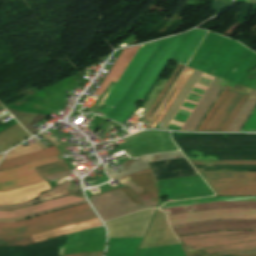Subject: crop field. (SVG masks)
Wrapping results in <instances>:
<instances>
[{
  "instance_id": "412701ff",
  "label": "crop field",
  "mask_w": 256,
  "mask_h": 256,
  "mask_svg": "<svg viewBox=\"0 0 256 256\" xmlns=\"http://www.w3.org/2000/svg\"><path fill=\"white\" fill-rule=\"evenodd\" d=\"M217 195H256V172H202Z\"/></svg>"
},
{
  "instance_id": "bc2a9ffb",
  "label": "crop field",
  "mask_w": 256,
  "mask_h": 256,
  "mask_svg": "<svg viewBox=\"0 0 256 256\" xmlns=\"http://www.w3.org/2000/svg\"><path fill=\"white\" fill-rule=\"evenodd\" d=\"M71 189L77 190V189H80V188H79V186L71 187V183L69 181V182L64 183L62 185L54 187L49 192L41 194L38 197V199H36V200L30 201V202L21 203V204L12 206V207H0V209H14V208L26 206V205H29V204H32V203H35V202H38V201H42V200H45V199H49V198H53V197H57V196H62V195H67L69 193L66 192V191L71 190Z\"/></svg>"
},
{
  "instance_id": "eef30255",
  "label": "crop field",
  "mask_w": 256,
  "mask_h": 256,
  "mask_svg": "<svg viewBox=\"0 0 256 256\" xmlns=\"http://www.w3.org/2000/svg\"><path fill=\"white\" fill-rule=\"evenodd\" d=\"M193 164H256V161H191Z\"/></svg>"
},
{
  "instance_id": "4a817a6b",
  "label": "crop field",
  "mask_w": 256,
  "mask_h": 256,
  "mask_svg": "<svg viewBox=\"0 0 256 256\" xmlns=\"http://www.w3.org/2000/svg\"><path fill=\"white\" fill-rule=\"evenodd\" d=\"M256 105V91L253 90L227 131H239L245 120L247 119L250 112Z\"/></svg>"
},
{
  "instance_id": "d8731c3e",
  "label": "crop field",
  "mask_w": 256,
  "mask_h": 256,
  "mask_svg": "<svg viewBox=\"0 0 256 256\" xmlns=\"http://www.w3.org/2000/svg\"><path fill=\"white\" fill-rule=\"evenodd\" d=\"M167 217L170 225L217 218H256V209H216Z\"/></svg>"
},
{
  "instance_id": "4177f3b9",
  "label": "crop field",
  "mask_w": 256,
  "mask_h": 256,
  "mask_svg": "<svg viewBox=\"0 0 256 256\" xmlns=\"http://www.w3.org/2000/svg\"><path fill=\"white\" fill-rule=\"evenodd\" d=\"M192 72H193V69L189 68V70L187 71V73L185 74V76L183 77V79L181 80L179 85L177 86L176 92L174 93V95L172 96V98L170 99V101L168 102V104L166 105V107L164 108V110L162 111V113L160 114V116L158 117V119L156 120L154 125L152 126V128H154V126L156 125L157 122H160V120L162 119V117L164 116V114L166 113V111L168 110V108L170 107V105L172 104V102L174 101L177 94L179 93V91L181 90V88L183 87V85L185 84V82L187 81V79L189 78V76L191 75Z\"/></svg>"
},
{
  "instance_id": "34b2d1b8",
  "label": "crop field",
  "mask_w": 256,
  "mask_h": 256,
  "mask_svg": "<svg viewBox=\"0 0 256 256\" xmlns=\"http://www.w3.org/2000/svg\"><path fill=\"white\" fill-rule=\"evenodd\" d=\"M217 234H256V232H217L190 236H181L178 239L217 235ZM186 256H256V252H214V251H256V235H217L209 237L179 240Z\"/></svg>"
},
{
  "instance_id": "bd1437ed",
  "label": "crop field",
  "mask_w": 256,
  "mask_h": 256,
  "mask_svg": "<svg viewBox=\"0 0 256 256\" xmlns=\"http://www.w3.org/2000/svg\"><path fill=\"white\" fill-rule=\"evenodd\" d=\"M102 251L98 252H88V253H78V254H68L64 256H101Z\"/></svg>"
},
{
  "instance_id": "ac0d7876",
  "label": "crop field",
  "mask_w": 256,
  "mask_h": 256,
  "mask_svg": "<svg viewBox=\"0 0 256 256\" xmlns=\"http://www.w3.org/2000/svg\"><path fill=\"white\" fill-rule=\"evenodd\" d=\"M128 177L132 179V181L138 187L143 196H140L141 193L130 178L124 181H120ZM118 180L123 186L130 188L137 196H140L137 197L128 188H121L135 205L149 200V193L156 191L154 182L155 180L149 168L124 177H120L118 178ZM121 189L101 194L99 198L90 201L103 219V221L136 210L155 206L157 204L158 198L156 192L150 194L151 200L135 206Z\"/></svg>"
},
{
  "instance_id": "dafd665d",
  "label": "crop field",
  "mask_w": 256,
  "mask_h": 256,
  "mask_svg": "<svg viewBox=\"0 0 256 256\" xmlns=\"http://www.w3.org/2000/svg\"><path fill=\"white\" fill-rule=\"evenodd\" d=\"M187 70H188V67L184 66V68L182 69V71L180 72V74L178 75V77L176 78V80L174 81V83L172 84L170 89L168 90L167 94L165 95V97L163 98V100L161 101V103L159 104V106L157 107V109L155 110V112L153 113L151 118L149 119L150 123L148 125V128L153 123V121L155 120V118L157 117V115L163 108L164 104L166 103V101L168 100V98L170 97V95L172 94V92L174 91V89L176 88V86L178 85V83L180 82V80L182 79V77L184 76V74L186 73Z\"/></svg>"
},
{
  "instance_id": "750c4746",
  "label": "crop field",
  "mask_w": 256,
  "mask_h": 256,
  "mask_svg": "<svg viewBox=\"0 0 256 256\" xmlns=\"http://www.w3.org/2000/svg\"><path fill=\"white\" fill-rule=\"evenodd\" d=\"M69 174H70V170L60 172V173H56V174H52V175H48V176H45V178L48 179L49 181H51V180H54V179H57V178L67 176Z\"/></svg>"
},
{
  "instance_id": "dd49c442",
  "label": "crop field",
  "mask_w": 256,
  "mask_h": 256,
  "mask_svg": "<svg viewBox=\"0 0 256 256\" xmlns=\"http://www.w3.org/2000/svg\"><path fill=\"white\" fill-rule=\"evenodd\" d=\"M176 236L217 230H256V219H217L171 226Z\"/></svg>"
},
{
  "instance_id": "8a807250",
  "label": "crop field",
  "mask_w": 256,
  "mask_h": 256,
  "mask_svg": "<svg viewBox=\"0 0 256 256\" xmlns=\"http://www.w3.org/2000/svg\"><path fill=\"white\" fill-rule=\"evenodd\" d=\"M207 31L193 29L185 34L157 41L136 75L114 106L105 115L123 123L136 109L134 104L144 100L170 58L186 64Z\"/></svg>"
},
{
  "instance_id": "ae1a2a85",
  "label": "crop field",
  "mask_w": 256,
  "mask_h": 256,
  "mask_svg": "<svg viewBox=\"0 0 256 256\" xmlns=\"http://www.w3.org/2000/svg\"><path fill=\"white\" fill-rule=\"evenodd\" d=\"M242 131H256V108L243 127Z\"/></svg>"
},
{
  "instance_id": "214f88e0",
  "label": "crop field",
  "mask_w": 256,
  "mask_h": 256,
  "mask_svg": "<svg viewBox=\"0 0 256 256\" xmlns=\"http://www.w3.org/2000/svg\"><path fill=\"white\" fill-rule=\"evenodd\" d=\"M213 201H256V197H213V198H206V199L169 203V204H165L161 208L180 206V205H188V204L205 203V202H213Z\"/></svg>"
},
{
  "instance_id": "e52e79f7",
  "label": "crop field",
  "mask_w": 256,
  "mask_h": 256,
  "mask_svg": "<svg viewBox=\"0 0 256 256\" xmlns=\"http://www.w3.org/2000/svg\"><path fill=\"white\" fill-rule=\"evenodd\" d=\"M91 218H95V215L89 209L19 228H0V238L22 237Z\"/></svg>"
},
{
  "instance_id": "d3111659",
  "label": "crop field",
  "mask_w": 256,
  "mask_h": 256,
  "mask_svg": "<svg viewBox=\"0 0 256 256\" xmlns=\"http://www.w3.org/2000/svg\"><path fill=\"white\" fill-rule=\"evenodd\" d=\"M85 201H86V200H84V201H80V202H76V203H72V204L65 205V206H61V207H57V208H54V209L46 210V211H43V212H39V213H35V214H31V215H28V216H24V217L16 218V219H0V222H15V220H17V219H21V218L29 217V216H32V215H36V214H40V213H44V212H47V211L55 210V209H58V208H62V207H66V206H70V205L77 204V203H81V202H85Z\"/></svg>"
},
{
  "instance_id": "22f410ed",
  "label": "crop field",
  "mask_w": 256,
  "mask_h": 256,
  "mask_svg": "<svg viewBox=\"0 0 256 256\" xmlns=\"http://www.w3.org/2000/svg\"><path fill=\"white\" fill-rule=\"evenodd\" d=\"M84 199L85 198H79L71 195V196L55 199L52 201L32 205L29 207H25V208L13 210V211H0V218H16V217L28 215L31 213L43 211L46 209L54 208L57 206L69 204V203L84 200Z\"/></svg>"
},
{
  "instance_id": "cbeb9de0",
  "label": "crop field",
  "mask_w": 256,
  "mask_h": 256,
  "mask_svg": "<svg viewBox=\"0 0 256 256\" xmlns=\"http://www.w3.org/2000/svg\"><path fill=\"white\" fill-rule=\"evenodd\" d=\"M216 208H256V202H213L162 209L166 215Z\"/></svg>"
},
{
  "instance_id": "5142ce71",
  "label": "crop field",
  "mask_w": 256,
  "mask_h": 256,
  "mask_svg": "<svg viewBox=\"0 0 256 256\" xmlns=\"http://www.w3.org/2000/svg\"><path fill=\"white\" fill-rule=\"evenodd\" d=\"M139 47L140 45L124 49V51L119 56L116 63L114 64V66L112 67L108 75L106 76L103 83L94 93L100 96L101 93L106 89V87L109 85L111 81L117 82V80L119 79V77L121 76V74L123 73V71L125 70L128 63L130 62V60L132 59V57L134 56V54L136 53Z\"/></svg>"
},
{
  "instance_id": "3316defc",
  "label": "crop field",
  "mask_w": 256,
  "mask_h": 256,
  "mask_svg": "<svg viewBox=\"0 0 256 256\" xmlns=\"http://www.w3.org/2000/svg\"><path fill=\"white\" fill-rule=\"evenodd\" d=\"M247 96L230 93L206 131H226Z\"/></svg>"
},
{
  "instance_id": "5866460e",
  "label": "crop field",
  "mask_w": 256,
  "mask_h": 256,
  "mask_svg": "<svg viewBox=\"0 0 256 256\" xmlns=\"http://www.w3.org/2000/svg\"><path fill=\"white\" fill-rule=\"evenodd\" d=\"M2 155H0V157H1Z\"/></svg>"
},
{
  "instance_id": "730fd06b",
  "label": "crop field",
  "mask_w": 256,
  "mask_h": 256,
  "mask_svg": "<svg viewBox=\"0 0 256 256\" xmlns=\"http://www.w3.org/2000/svg\"><path fill=\"white\" fill-rule=\"evenodd\" d=\"M181 67H182V65H178V67L174 71L173 75L171 76V78L169 79V81L167 82L165 87L163 88L162 92L160 93V95L158 96V98L156 99V101L154 102L152 107L150 108L149 112L145 116V118H144L145 120H147V118L149 117V115L151 114V112L153 111V109L155 108V106L157 105V103L159 102V100L161 99V97L163 96V94L167 90L168 86L170 85L171 81L173 80V78L175 77L176 73L180 70Z\"/></svg>"
},
{
  "instance_id": "d9b57169",
  "label": "crop field",
  "mask_w": 256,
  "mask_h": 256,
  "mask_svg": "<svg viewBox=\"0 0 256 256\" xmlns=\"http://www.w3.org/2000/svg\"><path fill=\"white\" fill-rule=\"evenodd\" d=\"M55 155H59V152H58L56 146L47 148V149L42 150V151L30 153V154H27V155L19 156V157L8 159V160H4L0 164V170L5 169V168H9V167H12V166H16V165H20V164H24V163H28V162H32V161H36V160H40V159H44V158L55 156Z\"/></svg>"
},
{
  "instance_id": "28ad6ade",
  "label": "crop field",
  "mask_w": 256,
  "mask_h": 256,
  "mask_svg": "<svg viewBox=\"0 0 256 256\" xmlns=\"http://www.w3.org/2000/svg\"><path fill=\"white\" fill-rule=\"evenodd\" d=\"M226 80L220 79L215 77L213 82L211 83L210 87L200 100L199 104L187 120L186 124L182 128V130L188 131H195L211 105L213 104L214 100L218 96L219 92L223 88Z\"/></svg>"
},
{
  "instance_id": "92a150f3",
  "label": "crop field",
  "mask_w": 256,
  "mask_h": 256,
  "mask_svg": "<svg viewBox=\"0 0 256 256\" xmlns=\"http://www.w3.org/2000/svg\"><path fill=\"white\" fill-rule=\"evenodd\" d=\"M231 90H232V87L226 86V88L224 89L219 99L217 100V102L215 103V105L213 106V108L205 118L204 122L202 123L198 131H205V129L207 128L212 118L214 117V115L216 114V112L218 111V109L220 108V106L222 105V103L224 102L225 98L227 97V95Z\"/></svg>"
},
{
  "instance_id": "a9b5d70f",
  "label": "crop field",
  "mask_w": 256,
  "mask_h": 256,
  "mask_svg": "<svg viewBox=\"0 0 256 256\" xmlns=\"http://www.w3.org/2000/svg\"><path fill=\"white\" fill-rule=\"evenodd\" d=\"M42 148L39 147L36 143L31 144L29 146L24 147L22 144L19 145L18 147L10 150V152L7 154V156L4 159H8L14 156H18L24 153L36 151V150H41Z\"/></svg>"
},
{
  "instance_id": "f4fd0767",
  "label": "crop field",
  "mask_w": 256,
  "mask_h": 256,
  "mask_svg": "<svg viewBox=\"0 0 256 256\" xmlns=\"http://www.w3.org/2000/svg\"><path fill=\"white\" fill-rule=\"evenodd\" d=\"M58 157H51L16 168L0 172V191H8L40 182L45 180L33 168L35 166L58 161ZM62 160V159H61Z\"/></svg>"
},
{
  "instance_id": "d32e631a",
  "label": "crop field",
  "mask_w": 256,
  "mask_h": 256,
  "mask_svg": "<svg viewBox=\"0 0 256 256\" xmlns=\"http://www.w3.org/2000/svg\"><path fill=\"white\" fill-rule=\"evenodd\" d=\"M7 240L6 239H0V245H9Z\"/></svg>"
},
{
  "instance_id": "d1516ede",
  "label": "crop field",
  "mask_w": 256,
  "mask_h": 256,
  "mask_svg": "<svg viewBox=\"0 0 256 256\" xmlns=\"http://www.w3.org/2000/svg\"><path fill=\"white\" fill-rule=\"evenodd\" d=\"M47 189H50V187L44 182L8 192H0V205H12L33 199L37 197L41 191Z\"/></svg>"
},
{
  "instance_id": "1d83c4d3",
  "label": "crop field",
  "mask_w": 256,
  "mask_h": 256,
  "mask_svg": "<svg viewBox=\"0 0 256 256\" xmlns=\"http://www.w3.org/2000/svg\"><path fill=\"white\" fill-rule=\"evenodd\" d=\"M111 110V108H109V107H107V106H105V105H103L100 109H99V111H101V114H102V116H104L107 112H109Z\"/></svg>"
},
{
  "instance_id": "5a996713",
  "label": "crop field",
  "mask_w": 256,
  "mask_h": 256,
  "mask_svg": "<svg viewBox=\"0 0 256 256\" xmlns=\"http://www.w3.org/2000/svg\"><path fill=\"white\" fill-rule=\"evenodd\" d=\"M155 43L156 41L141 45L136 55L134 56V58L124 71L123 75L111 91L106 101L104 102L105 105L113 108V106L115 105V103L117 102V100L129 84L134 74L136 73V71L138 70V68L140 67V65L142 64V62L144 61V59L146 58V56L148 55V53L150 52Z\"/></svg>"
},
{
  "instance_id": "00972430",
  "label": "crop field",
  "mask_w": 256,
  "mask_h": 256,
  "mask_svg": "<svg viewBox=\"0 0 256 256\" xmlns=\"http://www.w3.org/2000/svg\"><path fill=\"white\" fill-rule=\"evenodd\" d=\"M36 169L42 176H44V175L68 170V167L65 164L64 160H62V161L54 162V163L47 164L44 166L36 167Z\"/></svg>"
},
{
  "instance_id": "733c2abd",
  "label": "crop field",
  "mask_w": 256,
  "mask_h": 256,
  "mask_svg": "<svg viewBox=\"0 0 256 256\" xmlns=\"http://www.w3.org/2000/svg\"><path fill=\"white\" fill-rule=\"evenodd\" d=\"M86 208H90L88 203L78 205V206H75V207H71V208H68V209L60 210V211H57V212H53V213H50V214L42 215V216L35 217V218H32V219L24 220V221L17 222V223H0V227H19V226L35 223V222H38V221L46 220V219H49V218L57 217V216H60V215L68 214V213H71V212L79 211V210L86 209Z\"/></svg>"
},
{
  "instance_id": "120bbe31",
  "label": "crop field",
  "mask_w": 256,
  "mask_h": 256,
  "mask_svg": "<svg viewBox=\"0 0 256 256\" xmlns=\"http://www.w3.org/2000/svg\"><path fill=\"white\" fill-rule=\"evenodd\" d=\"M40 135H42L43 137H45L46 139H48L50 142H52V143L55 144V145L60 144V143L54 141L53 139H51L50 137H48V136H46V135H44V134H42V133H41Z\"/></svg>"
}]
</instances>
